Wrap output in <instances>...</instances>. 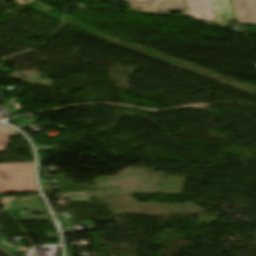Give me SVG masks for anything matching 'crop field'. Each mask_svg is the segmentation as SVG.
<instances>
[{"label":"crop field","instance_id":"8a807250","mask_svg":"<svg viewBox=\"0 0 256 256\" xmlns=\"http://www.w3.org/2000/svg\"><path fill=\"white\" fill-rule=\"evenodd\" d=\"M33 169L34 163L0 164V193L38 191Z\"/></svg>","mask_w":256,"mask_h":256},{"label":"crop field","instance_id":"ac0d7876","mask_svg":"<svg viewBox=\"0 0 256 256\" xmlns=\"http://www.w3.org/2000/svg\"><path fill=\"white\" fill-rule=\"evenodd\" d=\"M192 18L226 27L234 18L230 0H185Z\"/></svg>","mask_w":256,"mask_h":256},{"label":"crop field","instance_id":"34b2d1b8","mask_svg":"<svg viewBox=\"0 0 256 256\" xmlns=\"http://www.w3.org/2000/svg\"><path fill=\"white\" fill-rule=\"evenodd\" d=\"M128 2L135 11L169 14L181 10L182 15L189 16L184 0H117Z\"/></svg>","mask_w":256,"mask_h":256},{"label":"crop field","instance_id":"412701ff","mask_svg":"<svg viewBox=\"0 0 256 256\" xmlns=\"http://www.w3.org/2000/svg\"><path fill=\"white\" fill-rule=\"evenodd\" d=\"M239 24H256V0H232Z\"/></svg>","mask_w":256,"mask_h":256},{"label":"crop field","instance_id":"f4fd0767","mask_svg":"<svg viewBox=\"0 0 256 256\" xmlns=\"http://www.w3.org/2000/svg\"><path fill=\"white\" fill-rule=\"evenodd\" d=\"M11 131L10 128L0 124V152L5 150L8 146L9 137L8 134Z\"/></svg>","mask_w":256,"mask_h":256},{"label":"crop field","instance_id":"dd49c442","mask_svg":"<svg viewBox=\"0 0 256 256\" xmlns=\"http://www.w3.org/2000/svg\"><path fill=\"white\" fill-rule=\"evenodd\" d=\"M18 4L23 5V4H29L33 2V0H17Z\"/></svg>","mask_w":256,"mask_h":256},{"label":"crop field","instance_id":"e52e79f7","mask_svg":"<svg viewBox=\"0 0 256 256\" xmlns=\"http://www.w3.org/2000/svg\"><path fill=\"white\" fill-rule=\"evenodd\" d=\"M0 119H1V117H0Z\"/></svg>","mask_w":256,"mask_h":256}]
</instances>
